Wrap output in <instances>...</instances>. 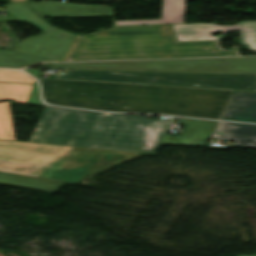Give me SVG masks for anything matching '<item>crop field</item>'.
Segmentation results:
<instances>
[{
	"label": "crop field",
	"instance_id": "dafd665d",
	"mask_svg": "<svg viewBox=\"0 0 256 256\" xmlns=\"http://www.w3.org/2000/svg\"><path fill=\"white\" fill-rule=\"evenodd\" d=\"M239 256H256V255H239Z\"/></svg>",
	"mask_w": 256,
	"mask_h": 256
},
{
	"label": "crop field",
	"instance_id": "8a807250",
	"mask_svg": "<svg viewBox=\"0 0 256 256\" xmlns=\"http://www.w3.org/2000/svg\"><path fill=\"white\" fill-rule=\"evenodd\" d=\"M44 101L112 112L220 119L234 91L41 79Z\"/></svg>",
	"mask_w": 256,
	"mask_h": 256
},
{
	"label": "crop field",
	"instance_id": "28ad6ade",
	"mask_svg": "<svg viewBox=\"0 0 256 256\" xmlns=\"http://www.w3.org/2000/svg\"><path fill=\"white\" fill-rule=\"evenodd\" d=\"M221 119L256 122V93L234 92Z\"/></svg>",
	"mask_w": 256,
	"mask_h": 256
},
{
	"label": "crop field",
	"instance_id": "d1516ede",
	"mask_svg": "<svg viewBox=\"0 0 256 256\" xmlns=\"http://www.w3.org/2000/svg\"><path fill=\"white\" fill-rule=\"evenodd\" d=\"M213 137L235 141L236 146L256 147V125L220 122Z\"/></svg>",
	"mask_w": 256,
	"mask_h": 256
},
{
	"label": "crop field",
	"instance_id": "92a150f3",
	"mask_svg": "<svg viewBox=\"0 0 256 256\" xmlns=\"http://www.w3.org/2000/svg\"><path fill=\"white\" fill-rule=\"evenodd\" d=\"M19 1H27V0H11V2H19Z\"/></svg>",
	"mask_w": 256,
	"mask_h": 256
},
{
	"label": "crop field",
	"instance_id": "f4fd0767",
	"mask_svg": "<svg viewBox=\"0 0 256 256\" xmlns=\"http://www.w3.org/2000/svg\"><path fill=\"white\" fill-rule=\"evenodd\" d=\"M57 79L256 91V75L67 70Z\"/></svg>",
	"mask_w": 256,
	"mask_h": 256
},
{
	"label": "crop field",
	"instance_id": "dd49c442",
	"mask_svg": "<svg viewBox=\"0 0 256 256\" xmlns=\"http://www.w3.org/2000/svg\"><path fill=\"white\" fill-rule=\"evenodd\" d=\"M43 68L256 74V57L45 64Z\"/></svg>",
	"mask_w": 256,
	"mask_h": 256
},
{
	"label": "crop field",
	"instance_id": "214f88e0",
	"mask_svg": "<svg viewBox=\"0 0 256 256\" xmlns=\"http://www.w3.org/2000/svg\"><path fill=\"white\" fill-rule=\"evenodd\" d=\"M30 74H32L34 77H38L40 70H26Z\"/></svg>",
	"mask_w": 256,
	"mask_h": 256
},
{
	"label": "crop field",
	"instance_id": "4a817a6b",
	"mask_svg": "<svg viewBox=\"0 0 256 256\" xmlns=\"http://www.w3.org/2000/svg\"><path fill=\"white\" fill-rule=\"evenodd\" d=\"M0 82L34 84L35 80L22 71L0 70Z\"/></svg>",
	"mask_w": 256,
	"mask_h": 256
},
{
	"label": "crop field",
	"instance_id": "34b2d1b8",
	"mask_svg": "<svg viewBox=\"0 0 256 256\" xmlns=\"http://www.w3.org/2000/svg\"><path fill=\"white\" fill-rule=\"evenodd\" d=\"M239 56L220 41L176 42L170 25L114 27L81 36L67 62Z\"/></svg>",
	"mask_w": 256,
	"mask_h": 256
},
{
	"label": "crop field",
	"instance_id": "ac0d7876",
	"mask_svg": "<svg viewBox=\"0 0 256 256\" xmlns=\"http://www.w3.org/2000/svg\"><path fill=\"white\" fill-rule=\"evenodd\" d=\"M169 123L46 107L29 142L155 154Z\"/></svg>",
	"mask_w": 256,
	"mask_h": 256
},
{
	"label": "crop field",
	"instance_id": "d9b57169",
	"mask_svg": "<svg viewBox=\"0 0 256 256\" xmlns=\"http://www.w3.org/2000/svg\"><path fill=\"white\" fill-rule=\"evenodd\" d=\"M32 87L30 85L0 83V100L14 99V101L27 102Z\"/></svg>",
	"mask_w": 256,
	"mask_h": 256
},
{
	"label": "crop field",
	"instance_id": "5142ce71",
	"mask_svg": "<svg viewBox=\"0 0 256 256\" xmlns=\"http://www.w3.org/2000/svg\"><path fill=\"white\" fill-rule=\"evenodd\" d=\"M0 182L55 192L60 183L0 173Z\"/></svg>",
	"mask_w": 256,
	"mask_h": 256
},
{
	"label": "crop field",
	"instance_id": "cbeb9de0",
	"mask_svg": "<svg viewBox=\"0 0 256 256\" xmlns=\"http://www.w3.org/2000/svg\"><path fill=\"white\" fill-rule=\"evenodd\" d=\"M46 61L52 60L42 59L6 50H0V68H24L29 65Z\"/></svg>",
	"mask_w": 256,
	"mask_h": 256
},
{
	"label": "crop field",
	"instance_id": "e52e79f7",
	"mask_svg": "<svg viewBox=\"0 0 256 256\" xmlns=\"http://www.w3.org/2000/svg\"><path fill=\"white\" fill-rule=\"evenodd\" d=\"M4 9L22 22L31 23L44 30L43 36L19 42L11 51L64 62L78 35L58 30L45 23L28 6L27 2L11 3ZM44 48V50L42 49Z\"/></svg>",
	"mask_w": 256,
	"mask_h": 256
},
{
	"label": "crop field",
	"instance_id": "5a996713",
	"mask_svg": "<svg viewBox=\"0 0 256 256\" xmlns=\"http://www.w3.org/2000/svg\"><path fill=\"white\" fill-rule=\"evenodd\" d=\"M41 17H87L111 16V8L105 6H82L60 2L30 3Z\"/></svg>",
	"mask_w": 256,
	"mask_h": 256
},
{
	"label": "crop field",
	"instance_id": "bc2a9ffb",
	"mask_svg": "<svg viewBox=\"0 0 256 256\" xmlns=\"http://www.w3.org/2000/svg\"><path fill=\"white\" fill-rule=\"evenodd\" d=\"M28 102L42 104L41 101H40V97H39L37 82H36V84L34 85V87L32 89V92L30 94Z\"/></svg>",
	"mask_w": 256,
	"mask_h": 256
},
{
	"label": "crop field",
	"instance_id": "d8731c3e",
	"mask_svg": "<svg viewBox=\"0 0 256 256\" xmlns=\"http://www.w3.org/2000/svg\"><path fill=\"white\" fill-rule=\"evenodd\" d=\"M178 41L220 40L227 30H240L241 45L256 51V21L241 22L235 26H217L213 23L172 25ZM211 32H221L212 36Z\"/></svg>",
	"mask_w": 256,
	"mask_h": 256
},
{
	"label": "crop field",
	"instance_id": "412701ff",
	"mask_svg": "<svg viewBox=\"0 0 256 256\" xmlns=\"http://www.w3.org/2000/svg\"><path fill=\"white\" fill-rule=\"evenodd\" d=\"M135 155L138 154L0 141V171L78 184L86 175Z\"/></svg>",
	"mask_w": 256,
	"mask_h": 256
},
{
	"label": "crop field",
	"instance_id": "22f410ed",
	"mask_svg": "<svg viewBox=\"0 0 256 256\" xmlns=\"http://www.w3.org/2000/svg\"><path fill=\"white\" fill-rule=\"evenodd\" d=\"M185 2L186 0H164L163 12L160 20L119 21L115 23L116 26L184 23Z\"/></svg>",
	"mask_w": 256,
	"mask_h": 256
},
{
	"label": "crop field",
	"instance_id": "733c2abd",
	"mask_svg": "<svg viewBox=\"0 0 256 256\" xmlns=\"http://www.w3.org/2000/svg\"><path fill=\"white\" fill-rule=\"evenodd\" d=\"M0 139L16 141L9 103H0Z\"/></svg>",
	"mask_w": 256,
	"mask_h": 256
},
{
	"label": "crop field",
	"instance_id": "3316defc",
	"mask_svg": "<svg viewBox=\"0 0 256 256\" xmlns=\"http://www.w3.org/2000/svg\"><path fill=\"white\" fill-rule=\"evenodd\" d=\"M217 122L190 119L181 138L165 136L162 144L205 146Z\"/></svg>",
	"mask_w": 256,
	"mask_h": 256
},
{
	"label": "crop field",
	"instance_id": "00972430",
	"mask_svg": "<svg viewBox=\"0 0 256 256\" xmlns=\"http://www.w3.org/2000/svg\"><path fill=\"white\" fill-rule=\"evenodd\" d=\"M29 1H34V0H29Z\"/></svg>",
	"mask_w": 256,
	"mask_h": 256
}]
</instances>
